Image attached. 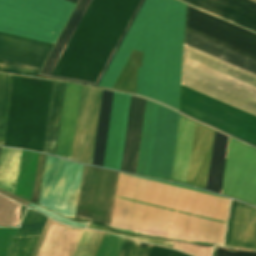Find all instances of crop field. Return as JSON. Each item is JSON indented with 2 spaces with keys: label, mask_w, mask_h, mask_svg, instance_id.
I'll return each mask as SVG.
<instances>
[{
  "label": "crop field",
  "mask_w": 256,
  "mask_h": 256,
  "mask_svg": "<svg viewBox=\"0 0 256 256\" xmlns=\"http://www.w3.org/2000/svg\"><path fill=\"white\" fill-rule=\"evenodd\" d=\"M225 245L255 249L256 209L233 200Z\"/></svg>",
  "instance_id": "crop-field-9"
},
{
  "label": "crop field",
  "mask_w": 256,
  "mask_h": 256,
  "mask_svg": "<svg viewBox=\"0 0 256 256\" xmlns=\"http://www.w3.org/2000/svg\"><path fill=\"white\" fill-rule=\"evenodd\" d=\"M151 246L150 244L126 239L118 256H147Z\"/></svg>",
  "instance_id": "crop-field-15"
},
{
  "label": "crop field",
  "mask_w": 256,
  "mask_h": 256,
  "mask_svg": "<svg viewBox=\"0 0 256 256\" xmlns=\"http://www.w3.org/2000/svg\"><path fill=\"white\" fill-rule=\"evenodd\" d=\"M179 114L147 101L137 174L170 180Z\"/></svg>",
  "instance_id": "crop-field-4"
},
{
  "label": "crop field",
  "mask_w": 256,
  "mask_h": 256,
  "mask_svg": "<svg viewBox=\"0 0 256 256\" xmlns=\"http://www.w3.org/2000/svg\"><path fill=\"white\" fill-rule=\"evenodd\" d=\"M148 256H188L180 252L153 246Z\"/></svg>",
  "instance_id": "crop-field-18"
},
{
  "label": "crop field",
  "mask_w": 256,
  "mask_h": 256,
  "mask_svg": "<svg viewBox=\"0 0 256 256\" xmlns=\"http://www.w3.org/2000/svg\"><path fill=\"white\" fill-rule=\"evenodd\" d=\"M43 152L55 154L64 85L54 82Z\"/></svg>",
  "instance_id": "crop-field-12"
},
{
  "label": "crop field",
  "mask_w": 256,
  "mask_h": 256,
  "mask_svg": "<svg viewBox=\"0 0 256 256\" xmlns=\"http://www.w3.org/2000/svg\"><path fill=\"white\" fill-rule=\"evenodd\" d=\"M115 197L225 224L229 200L119 173ZM111 227L200 243L223 241V225L115 199Z\"/></svg>",
  "instance_id": "crop-field-1"
},
{
  "label": "crop field",
  "mask_w": 256,
  "mask_h": 256,
  "mask_svg": "<svg viewBox=\"0 0 256 256\" xmlns=\"http://www.w3.org/2000/svg\"><path fill=\"white\" fill-rule=\"evenodd\" d=\"M112 95H113V92L103 90L96 142H95V149H94V156H93V162H92L93 165H97L101 167L103 164Z\"/></svg>",
  "instance_id": "crop-field-13"
},
{
  "label": "crop field",
  "mask_w": 256,
  "mask_h": 256,
  "mask_svg": "<svg viewBox=\"0 0 256 256\" xmlns=\"http://www.w3.org/2000/svg\"><path fill=\"white\" fill-rule=\"evenodd\" d=\"M88 228L102 230V231L117 234L120 236L132 238V239H136V240H140V241H144V242H148V243H153V244H157V245H162V246H166V247H170V248H172V244H173V241H169V240L151 239V238H146V237L130 236V235H126V234L117 233V232L111 231L103 226L95 225L93 223H90Z\"/></svg>",
  "instance_id": "crop-field-16"
},
{
  "label": "crop field",
  "mask_w": 256,
  "mask_h": 256,
  "mask_svg": "<svg viewBox=\"0 0 256 256\" xmlns=\"http://www.w3.org/2000/svg\"><path fill=\"white\" fill-rule=\"evenodd\" d=\"M102 90L82 86L71 159L91 164Z\"/></svg>",
  "instance_id": "crop-field-8"
},
{
  "label": "crop field",
  "mask_w": 256,
  "mask_h": 256,
  "mask_svg": "<svg viewBox=\"0 0 256 256\" xmlns=\"http://www.w3.org/2000/svg\"><path fill=\"white\" fill-rule=\"evenodd\" d=\"M43 158H44V155L39 154L36 175H35V181H34V187H33V193H32V199H31V201L34 203H36V201H37Z\"/></svg>",
  "instance_id": "crop-field-17"
},
{
  "label": "crop field",
  "mask_w": 256,
  "mask_h": 256,
  "mask_svg": "<svg viewBox=\"0 0 256 256\" xmlns=\"http://www.w3.org/2000/svg\"><path fill=\"white\" fill-rule=\"evenodd\" d=\"M80 89L81 86L79 85L67 83L57 155L69 159L71 156Z\"/></svg>",
  "instance_id": "crop-field-10"
},
{
  "label": "crop field",
  "mask_w": 256,
  "mask_h": 256,
  "mask_svg": "<svg viewBox=\"0 0 256 256\" xmlns=\"http://www.w3.org/2000/svg\"><path fill=\"white\" fill-rule=\"evenodd\" d=\"M10 90L9 75L0 74V145L2 144L8 97Z\"/></svg>",
  "instance_id": "crop-field-14"
},
{
  "label": "crop field",
  "mask_w": 256,
  "mask_h": 256,
  "mask_svg": "<svg viewBox=\"0 0 256 256\" xmlns=\"http://www.w3.org/2000/svg\"><path fill=\"white\" fill-rule=\"evenodd\" d=\"M116 178L114 171L84 165L75 218L108 226Z\"/></svg>",
  "instance_id": "crop-field-6"
},
{
  "label": "crop field",
  "mask_w": 256,
  "mask_h": 256,
  "mask_svg": "<svg viewBox=\"0 0 256 256\" xmlns=\"http://www.w3.org/2000/svg\"><path fill=\"white\" fill-rule=\"evenodd\" d=\"M222 194L253 205L256 199V150L231 138Z\"/></svg>",
  "instance_id": "crop-field-7"
},
{
  "label": "crop field",
  "mask_w": 256,
  "mask_h": 256,
  "mask_svg": "<svg viewBox=\"0 0 256 256\" xmlns=\"http://www.w3.org/2000/svg\"><path fill=\"white\" fill-rule=\"evenodd\" d=\"M130 96L113 95L103 167H120ZM145 100L131 96L120 170L135 172Z\"/></svg>",
  "instance_id": "crop-field-5"
},
{
  "label": "crop field",
  "mask_w": 256,
  "mask_h": 256,
  "mask_svg": "<svg viewBox=\"0 0 256 256\" xmlns=\"http://www.w3.org/2000/svg\"><path fill=\"white\" fill-rule=\"evenodd\" d=\"M216 256H256L253 252H230L222 249L216 251Z\"/></svg>",
  "instance_id": "crop-field-19"
},
{
  "label": "crop field",
  "mask_w": 256,
  "mask_h": 256,
  "mask_svg": "<svg viewBox=\"0 0 256 256\" xmlns=\"http://www.w3.org/2000/svg\"><path fill=\"white\" fill-rule=\"evenodd\" d=\"M11 82L4 145L42 152L51 81L11 75Z\"/></svg>",
  "instance_id": "crop-field-3"
},
{
  "label": "crop field",
  "mask_w": 256,
  "mask_h": 256,
  "mask_svg": "<svg viewBox=\"0 0 256 256\" xmlns=\"http://www.w3.org/2000/svg\"><path fill=\"white\" fill-rule=\"evenodd\" d=\"M47 217L28 209L16 235L39 234ZM39 235L15 238L6 256H29Z\"/></svg>",
  "instance_id": "crop-field-11"
},
{
  "label": "crop field",
  "mask_w": 256,
  "mask_h": 256,
  "mask_svg": "<svg viewBox=\"0 0 256 256\" xmlns=\"http://www.w3.org/2000/svg\"><path fill=\"white\" fill-rule=\"evenodd\" d=\"M182 116L179 118L171 180L204 188L214 131ZM227 140V136L215 131L207 190L220 192Z\"/></svg>",
  "instance_id": "crop-field-2"
}]
</instances>
